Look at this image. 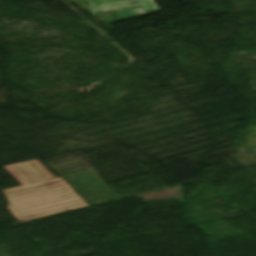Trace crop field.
<instances>
[{"instance_id":"crop-field-1","label":"crop field","mask_w":256,"mask_h":256,"mask_svg":"<svg viewBox=\"0 0 256 256\" xmlns=\"http://www.w3.org/2000/svg\"><path fill=\"white\" fill-rule=\"evenodd\" d=\"M3 168L22 185L3 191L12 204L7 208L18 222L88 205L37 159Z\"/></svg>"},{"instance_id":"crop-field-2","label":"crop field","mask_w":256,"mask_h":256,"mask_svg":"<svg viewBox=\"0 0 256 256\" xmlns=\"http://www.w3.org/2000/svg\"><path fill=\"white\" fill-rule=\"evenodd\" d=\"M90 1L91 13H99L109 9H115V22L158 11L153 0H96Z\"/></svg>"}]
</instances>
